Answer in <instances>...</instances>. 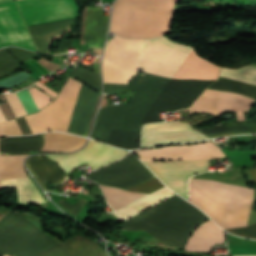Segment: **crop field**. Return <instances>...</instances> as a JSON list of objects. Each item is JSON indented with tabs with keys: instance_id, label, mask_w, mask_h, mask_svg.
Here are the masks:
<instances>
[{
	"instance_id": "obj_1",
	"label": "crop field",
	"mask_w": 256,
	"mask_h": 256,
	"mask_svg": "<svg viewBox=\"0 0 256 256\" xmlns=\"http://www.w3.org/2000/svg\"><path fill=\"white\" fill-rule=\"evenodd\" d=\"M143 41L124 39L117 35L110 39L102 63L104 83L129 82L138 72ZM192 49L166 37L145 40L141 49L139 71L172 78Z\"/></svg>"
},
{
	"instance_id": "obj_2",
	"label": "crop field",
	"mask_w": 256,
	"mask_h": 256,
	"mask_svg": "<svg viewBox=\"0 0 256 256\" xmlns=\"http://www.w3.org/2000/svg\"><path fill=\"white\" fill-rule=\"evenodd\" d=\"M81 83L69 77L58 99L26 118L33 133L67 131ZM98 93L82 85L67 132L85 136L91 121Z\"/></svg>"
},
{
	"instance_id": "obj_3",
	"label": "crop field",
	"mask_w": 256,
	"mask_h": 256,
	"mask_svg": "<svg viewBox=\"0 0 256 256\" xmlns=\"http://www.w3.org/2000/svg\"><path fill=\"white\" fill-rule=\"evenodd\" d=\"M207 219L176 195L126 221L122 230H145L160 241L183 248L190 232Z\"/></svg>"
},
{
	"instance_id": "obj_4",
	"label": "crop field",
	"mask_w": 256,
	"mask_h": 256,
	"mask_svg": "<svg viewBox=\"0 0 256 256\" xmlns=\"http://www.w3.org/2000/svg\"><path fill=\"white\" fill-rule=\"evenodd\" d=\"M192 202L223 228L245 226L253 189L190 179Z\"/></svg>"
},
{
	"instance_id": "obj_5",
	"label": "crop field",
	"mask_w": 256,
	"mask_h": 256,
	"mask_svg": "<svg viewBox=\"0 0 256 256\" xmlns=\"http://www.w3.org/2000/svg\"><path fill=\"white\" fill-rule=\"evenodd\" d=\"M180 0H117L110 31L125 38H152L169 33L174 5Z\"/></svg>"
},
{
	"instance_id": "obj_6",
	"label": "crop field",
	"mask_w": 256,
	"mask_h": 256,
	"mask_svg": "<svg viewBox=\"0 0 256 256\" xmlns=\"http://www.w3.org/2000/svg\"><path fill=\"white\" fill-rule=\"evenodd\" d=\"M158 94L139 88L128 105L100 109L91 137L105 142L111 129L140 132L141 120Z\"/></svg>"
},
{
	"instance_id": "obj_7",
	"label": "crop field",
	"mask_w": 256,
	"mask_h": 256,
	"mask_svg": "<svg viewBox=\"0 0 256 256\" xmlns=\"http://www.w3.org/2000/svg\"><path fill=\"white\" fill-rule=\"evenodd\" d=\"M252 102L253 99L239 94L206 90L191 106V111H204L215 114L226 110L247 111ZM198 131L203 132L208 138L241 133H256V121L222 122L210 128L198 129Z\"/></svg>"
},
{
	"instance_id": "obj_8",
	"label": "crop field",
	"mask_w": 256,
	"mask_h": 256,
	"mask_svg": "<svg viewBox=\"0 0 256 256\" xmlns=\"http://www.w3.org/2000/svg\"><path fill=\"white\" fill-rule=\"evenodd\" d=\"M56 243V240L15 212L9 211L0 220V256L5 253L33 256Z\"/></svg>"
},
{
	"instance_id": "obj_9",
	"label": "crop field",
	"mask_w": 256,
	"mask_h": 256,
	"mask_svg": "<svg viewBox=\"0 0 256 256\" xmlns=\"http://www.w3.org/2000/svg\"><path fill=\"white\" fill-rule=\"evenodd\" d=\"M214 80L169 79L142 120V124L160 121L159 112L190 107L193 101Z\"/></svg>"
},
{
	"instance_id": "obj_10",
	"label": "crop field",
	"mask_w": 256,
	"mask_h": 256,
	"mask_svg": "<svg viewBox=\"0 0 256 256\" xmlns=\"http://www.w3.org/2000/svg\"><path fill=\"white\" fill-rule=\"evenodd\" d=\"M143 165L131 155L106 168L89 174L88 177L100 183L126 189L154 177Z\"/></svg>"
},
{
	"instance_id": "obj_11",
	"label": "crop field",
	"mask_w": 256,
	"mask_h": 256,
	"mask_svg": "<svg viewBox=\"0 0 256 256\" xmlns=\"http://www.w3.org/2000/svg\"><path fill=\"white\" fill-rule=\"evenodd\" d=\"M210 160L144 162L170 189L188 198L187 178L207 170Z\"/></svg>"
},
{
	"instance_id": "obj_12",
	"label": "crop field",
	"mask_w": 256,
	"mask_h": 256,
	"mask_svg": "<svg viewBox=\"0 0 256 256\" xmlns=\"http://www.w3.org/2000/svg\"><path fill=\"white\" fill-rule=\"evenodd\" d=\"M28 26L76 17L73 0L16 1Z\"/></svg>"
},
{
	"instance_id": "obj_13",
	"label": "crop field",
	"mask_w": 256,
	"mask_h": 256,
	"mask_svg": "<svg viewBox=\"0 0 256 256\" xmlns=\"http://www.w3.org/2000/svg\"><path fill=\"white\" fill-rule=\"evenodd\" d=\"M125 155H128V152L90 140L85 148L77 153L45 156L54 160L63 170L68 172L84 162L95 169Z\"/></svg>"
},
{
	"instance_id": "obj_14",
	"label": "crop field",
	"mask_w": 256,
	"mask_h": 256,
	"mask_svg": "<svg viewBox=\"0 0 256 256\" xmlns=\"http://www.w3.org/2000/svg\"><path fill=\"white\" fill-rule=\"evenodd\" d=\"M142 161L212 159L225 156L218 146L206 142L184 146H169L156 149L133 151Z\"/></svg>"
},
{
	"instance_id": "obj_15",
	"label": "crop field",
	"mask_w": 256,
	"mask_h": 256,
	"mask_svg": "<svg viewBox=\"0 0 256 256\" xmlns=\"http://www.w3.org/2000/svg\"><path fill=\"white\" fill-rule=\"evenodd\" d=\"M205 137L186 122L147 124L143 128L142 147L187 142Z\"/></svg>"
},
{
	"instance_id": "obj_16",
	"label": "crop field",
	"mask_w": 256,
	"mask_h": 256,
	"mask_svg": "<svg viewBox=\"0 0 256 256\" xmlns=\"http://www.w3.org/2000/svg\"><path fill=\"white\" fill-rule=\"evenodd\" d=\"M7 45L37 51L14 2L0 5V48Z\"/></svg>"
},
{
	"instance_id": "obj_17",
	"label": "crop field",
	"mask_w": 256,
	"mask_h": 256,
	"mask_svg": "<svg viewBox=\"0 0 256 256\" xmlns=\"http://www.w3.org/2000/svg\"><path fill=\"white\" fill-rule=\"evenodd\" d=\"M35 256H107V254L106 251L95 242L85 237L74 236Z\"/></svg>"
},
{
	"instance_id": "obj_18",
	"label": "crop field",
	"mask_w": 256,
	"mask_h": 256,
	"mask_svg": "<svg viewBox=\"0 0 256 256\" xmlns=\"http://www.w3.org/2000/svg\"><path fill=\"white\" fill-rule=\"evenodd\" d=\"M30 91H31L39 109H42L44 106H46L52 100H54L34 87L30 88ZM18 95H19L28 114L39 111L28 89L24 90L22 92H18ZM5 96H6L16 117L26 115V112H25L16 93L5 94Z\"/></svg>"
},
{
	"instance_id": "obj_19",
	"label": "crop field",
	"mask_w": 256,
	"mask_h": 256,
	"mask_svg": "<svg viewBox=\"0 0 256 256\" xmlns=\"http://www.w3.org/2000/svg\"><path fill=\"white\" fill-rule=\"evenodd\" d=\"M27 167L32 172L37 181L45 190L46 181L58 184L66 181L68 177L60 171L51 161L35 155L29 157L26 162Z\"/></svg>"
},
{
	"instance_id": "obj_20",
	"label": "crop field",
	"mask_w": 256,
	"mask_h": 256,
	"mask_svg": "<svg viewBox=\"0 0 256 256\" xmlns=\"http://www.w3.org/2000/svg\"><path fill=\"white\" fill-rule=\"evenodd\" d=\"M194 236L203 237H215L224 239V231L215 225L211 220L204 222L197 230L193 233ZM191 236L189 239L186 250L188 251H208L214 244L223 243L222 239L215 238H202Z\"/></svg>"
},
{
	"instance_id": "obj_21",
	"label": "crop field",
	"mask_w": 256,
	"mask_h": 256,
	"mask_svg": "<svg viewBox=\"0 0 256 256\" xmlns=\"http://www.w3.org/2000/svg\"><path fill=\"white\" fill-rule=\"evenodd\" d=\"M101 12V8L89 7L84 44L103 48L109 16Z\"/></svg>"
},
{
	"instance_id": "obj_22",
	"label": "crop field",
	"mask_w": 256,
	"mask_h": 256,
	"mask_svg": "<svg viewBox=\"0 0 256 256\" xmlns=\"http://www.w3.org/2000/svg\"><path fill=\"white\" fill-rule=\"evenodd\" d=\"M44 141V134L25 137H10L0 139L1 154H28L24 151H39Z\"/></svg>"
},
{
	"instance_id": "obj_23",
	"label": "crop field",
	"mask_w": 256,
	"mask_h": 256,
	"mask_svg": "<svg viewBox=\"0 0 256 256\" xmlns=\"http://www.w3.org/2000/svg\"><path fill=\"white\" fill-rule=\"evenodd\" d=\"M173 193L168 188L164 187L152 194H146L141 198L135 200L134 202L130 203L129 205L113 212L116 214L122 221L131 218L135 214L145 210L146 208L161 202L168 197L172 196Z\"/></svg>"
},
{
	"instance_id": "obj_24",
	"label": "crop field",
	"mask_w": 256,
	"mask_h": 256,
	"mask_svg": "<svg viewBox=\"0 0 256 256\" xmlns=\"http://www.w3.org/2000/svg\"><path fill=\"white\" fill-rule=\"evenodd\" d=\"M87 139L65 133H46L41 151L72 152L84 146Z\"/></svg>"
},
{
	"instance_id": "obj_25",
	"label": "crop field",
	"mask_w": 256,
	"mask_h": 256,
	"mask_svg": "<svg viewBox=\"0 0 256 256\" xmlns=\"http://www.w3.org/2000/svg\"><path fill=\"white\" fill-rule=\"evenodd\" d=\"M73 19L28 27L39 51L47 53V38L66 32V27H68Z\"/></svg>"
},
{
	"instance_id": "obj_26",
	"label": "crop field",
	"mask_w": 256,
	"mask_h": 256,
	"mask_svg": "<svg viewBox=\"0 0 256 256\" xmlns=\"http://www.w3.org/2000/svg\"><path fill=\"white\" fill-rule=\"evenodd\" d=\"M167 78L139 73L128 85L104 84V93L115 94L117 89L136 91L139 86L161 91Z\"/></svg>"
},
{
	"instance_id": "obj_27",
	"label": "crop field",
	"mask_w": 256,
	"mask_h": 256,
	"mask_svg": "<svg viewBox=\"0 0 256 256\" xmlns=\"http://www.w3.org/2000/svg\"><path fill=\"white\" fill-rule=\"evenodd\" d=\"M2 188L16 187L18 202H45L31 184L28 177L1 180Z\"/></svg>"
},
{
	"instance_id": "obj_28",
	"label": "crop field",
	"mask_w": 256,
	"mask_h": 256,
	"mask_svg": "<svg viewBox=\"0 0 256 256\" xmlns=\"http://www.w3.org/2000/svg\"><path fill=\"white\" fill-rule=\"evenodd\" d=\"M107 202L115 210L129 204L135 199L144 195V193L130 192L116 187L101 185Z\"/></svg>"
},
{
	"instance_id": "obj_29",
	"label": "crop field",
	"mask_w": 256,
	"mask_h": 256,
	"mask_svg": "<svg viewBox=\"0 0 256 256\" xmlns=\"http://www.w3.org/2000/svg\"><path fill=\"white\" fill-rule=\"evenodd\" d=\"M28 155L3 156L0 155V178L27 176L23 161ZM1 188V183H0Z\"/></svg>"
},
{
	"instance_id": "obj_30",
	"label": "crop field",
	"mask_w": 256,
	"mask_h": 256,
	"mask_svg": "<svg viewBox=\"0 0 256 256\" xmlns=\"http://www.w3.org/2000/svg\"><path fill=\"white\" fill-rule=\"evenodd\" d=\"M209 88L236 92L256 99V85L237 80L219 77Z\"/></svg>"
},
{
	"instance_id": "obj_31",
	"label": "crop field",
	"mask_w": 256,
	"mask_h": 256,
	"mask_svg": "<svg viewBox=\"0 0 256 256\" xmlns=\"http://www.w3.org/2000/svg\"><path fill=\"white\" fill-rule=\"evenodd\" d=\"M139 134L112 130L106 143L124 149H135L138 145Z\"/></svg>"
},
{
	"instance_id": "obj_32",
	"label": "crop field",
	"mask_w": 256,
	"mask_h": 256,
	"mask_svg": "<svg viewBox=\"0 0 256 256\" xmlns=\"http://www.w3.org/2000/svg\"><path fill=\"white\" fill-rule=\"evenodd\" d=\"M92 68L94 70V73L76 66L72 74V77L79 79L80 81L90 86L91 88L101 92L99 64H93Z\"/></svg>"
},
{
	"instance_id": "obj_33",
	"label": "crop field",
	"mask_w": 256,
	"mask_h": 256,
	"mask_svg": "<svg viewBox=\"0 0 256 256\" xmlns=\"http://www.w3.org/2000/svg\"><path fill=\"white\" fill-rule=\"evenodd\" d=\"M220 76L256 84V66H244L240 69L222 68Z\"/></svg>"
},
{
	"instance_id": "obj_34",
	"label": "crop field",
	"mask_w": 256,
	"mask_h": 256,
	"mask_svg": "<svg viewBox=\"0 0 256 256\" xmlns=\"http://www.w3.org/2000/svg\"><path fill=\"white\" fill-rule=\"evenodd\" d=\"M22 65L14 59L5 48L0 50V77L21 68Z\"/></svg>"
},
{
	"instance_id": "obj_35",
	"label": "crop field",
	"mask_w": 256,
	"mask_h": 256,
	"mask_svg": "<svg viewBox=\"0 0 256 256\" xmlns=\"http://www.w3.org/2000/svg\"><path fill=\"white\" fill-rule=\"evenodd\" d=\"M162 186L163 185L161 184V182L155 177L143 184H140L133 188H129L127 190H135V191L151 193Z\"/></svg>"
},
{
	"instance_id": "obj_36",
	"label": "crop field",
	"mask_w": 256,
	"mask_h": 256,
	"mask_svg": "<svg viewBox=\"0 0 256 256\" xmlns=\"http://www.w3.org/2000/svg\"><path fill=\"white\" fill-rule=\"evenodd\" d=\"M226 230L232 234L240 235L246 238L256 239V225L251 227L232 228Z\"/></svg>"
},
{
	"instance_id": "obj_37",
	"label": "crop field",
	"mask_w": 256,
	"mask_h": 256,
	"mask_svg": "<svg viewBox=\"0 0 256 256\" xmlns=\"http://www.w3.org/2000/svg\"><path fill=\"white\" fill-rule=\"evenodd\" d=\"M0 97H1V99L3 101V103H4V104H1L0 107H1V109H2V111L4 113V115H5L6 119L9 120V119L15 118L13 113H12V111H11V109H10V107H9V105H8V103H7V101H6V99H5V97H4V95L1 94ZM1 121H5V118H4V116H3V114H2V112L0 110V122ZM2 135H5V133H4V131H3L2 127H1V125H0V136H2Z\"/></svg>"
},
{
	"instance_id": "obj_38",
	"label": "crop field",
	"mask_w": 256,
	"mask_h": 256,
	"mask_svg": "<svg viewBox=\"0 0 256 256\" xmlns=\"http://www.w3.org/2000/svg\"><path fill=\"white\" fill-rule=\"evenodd\" d=\"M7 49L14 54L22 63L35 57L38 53L18 49L15 47H7Z\"/></svg>"
},
{
	"instance_id": "obj_39",
	"label": "crop field",
	"mask_w": 256,
	"mask_h": 256,
	"mask_svg": "<svg viewBox=\"0 0 256 256\" xmlns=\"http://www.w3.org/2000/svg\"><path fill=\"white\" fill-rule=\"evenodd\" d=\"M1 125L6 133V135H18L22 134L15 119L1 122Z\"/></svg>"
},
{
	"instance_id": "obj_40",
	"label": "crop field",
	"mask_w": 256,
	"mask_h": 256,
	"mask_svg": "<svg viewBox=\"0 0 256 256\" xmlns=\"http://www.w3.org/2000/svg\"><path fill=\"white\" fill-rule=\"evenodd\" d=\"M86 202L87 200L81 198L78 200L75 207L63 200L59 201L58 203H60L66 210H68L73 216L76 217Z\"/></svg>"
},
{
	"instance_id": "obj_41",
	"label": "crop field",
	"mask_w": 256,
	"mask_h": 256,
	"mask_svg": "<svg viewBox=\"0 0 256 256\" xmlns=\"http://www.w3.org/2000/svg\"><path fill=\"white\" fill-rule=\"evenodd\" d=\"M228 245H255L256 241L245 240L228 234Z\"/></svg>"
},
{
	"instance_id": "obj_42",
	"label": "crop field",
	"mask_w": 256,
	"mask_h": 256,
	"mask_svg": "<svg viewBox=\"0 0 256 256\" xmlns=\"http://www.w3.org/2000/svg\"><path fill=\"white\" fill-rule=\"evenodd\" d=\"M39 63H41L46 69H48L50 72L51 71H53V70H55V69H57V68H61L60 66L61 65H58V64H55V63H53V62H50V61H47V60H45V59H43V58H41V59H39V60H37ZM49 63L51 64V65H49Z\"/></svg>"
},
{
	"instance_id": "obj_43",
	"label": "crop field",
	"mask_w": 256,
	"mask_h": 256,
	"mask_svg": "<svg viewBox=\"0 0 256 256\" xmlns=\"http://www.w3.org/2000/svg\"><path fill=\"white\" fill-rule=\"evenodd\" d=\"M17 122H18L23 134L32 133L24 117L17 119Z\"/></svg>"
},
{
	"instance_id": "obj_44",
	"label": "crop field",
	"mask_w": 256,
	"mask_h": 256,
	"mask_svg": "<svg viewBox=\"0 0 256 256\" xmlns=\"http://www.w3.org/2000/svg\"><path fill=\"white\" fill-rule=\"evenodd\" d=\"M67 48H73L72 39L60 43L59 53L67 52Z\"/></svg>"
},
{
	"instance_id": "obj_45",
	"label": "crop field",
	"mask_w": 256,
	"mask_h": 256,
	"mask_svg": "<svg viewBox=\"0 0 256 256\" xmlns=\"http://www.w3.org/2000/svg\"><path fill=\"white\" fill-rule=\"evenodd\" d=\"M35 85L39 86L40 88H42L43 90L47 91L48 93H50L51 95L55 96L58 94L55 91H53L52 89L48 88L47 86H45L44 84H42L41 82H37Z\"/></svg>"
},
{
	"instance_id": "obj_46",
	"label": "crop field",
	"mask_w": 256,
	"mask_h": 256,
	"mask_svg": "<svg viewBox=\"0 0 256 256\" xmlns=\"http://www.w3.org/2000/svg\"><path fill=\"white\" fill-rule=\"evenodd\" d=\"M253 182H256V168L250 169Z\"/></svg>"
},
{
	"instance_id": "obj_47",
	"label": "crop field",
	"mask_w": 256,
	"mask_h": 256,
	"mask_svg": "<svg viewBox=\"0 0 256 256\" xmlns=\"http://www.w3.org/2000/svg\"><path fill=\"white\" fill-rule=\"evenodd\" d=\"M6 1H11V0H0V3H1V2H6Z\"/></svg>"
},
{
	"instance_id": "obj_48",
	"label": "crop field",
	"mask_w": 256,
	"mask_h": 256,
	"mask_svg": "<svg viewBox=\"0 0 256 256\" xmlns=\"http://www.w3.org/2000/svg\"><path fill=\"white\" fill-rule=\"evenodd\" d=\"M3 216H4V214H0V218L3 217Z\"/></svg>"
},
{
	"instance_id": "obj_49",
	"label": "crop field",
	"mask_w": 256,
	"mask_h": 256,
	"mask_svg": "<svg viewBox=\"0 0 256 256\" xmlns=\"http://www.w3.org/2000/svg\"><path fill=\"white\" fill-rule=\"evenodd\" d=\"M90 49V48H89ZM95 49L92 50V52L94 51Z\"/></svg>"
},
{
	"instance_id": "obj_50",
	"label": "crop field",
	"mask_w": 256,
	"mask_h": 256,
	"mask_svg": "<svg viewBox=\"0 0 256 256\" xmlns=\"http://www.w3.org/2000/svg\"><path fill=\"white\" fill-rule=\"evenodd\" d=\"M4 256H7V255H4Z\"/></svg>"
}]
</instances>
